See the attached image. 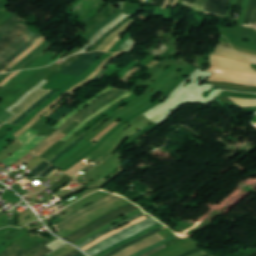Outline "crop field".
<instances>
[{"mask_svg":"<svg viewBox=\"0 0 256 256\" xmlns=\"http://www.w3.org/2000/svg\"><path fill=\"white\" fill-rule=\"evenodd\" d=\"M201 250V249H200ZM198 248H196V249H194V250H192V251H190V252H188V253H186V254H183V255H181V256H190V255H192V254H195V253H197V252H201Z\"/></svg>","mask_w":256,"mask_h":256,"instance_id":"47","label":"crop field"},{"mask_svg":"<svg viewBox=\"0 0 256 256\" xmlns=\"http://www.w3.org/2000/svg\"><path fill=\"white\" fill-rule=\"evenodd\" d=\"M12 73V72H11ZM11 73H7L5 75H3L1 78H0V83L5 79L7 78Z\"/></svg>","mask_w":256,"mask_h":256,"instance_id":"51","label":"crop field"},{"mask_svg":"<svg viewBox=\"0 0 256 256\" xmlns=\"http://www.w3.org/2000/svg\"><path fill=\"white\" fill-rule=\"evenodd\" d=\"M157 222H159V221L150 217V218H148V219H146L128 229H125L121 232H118V233L104 239L103 241L99 242L98 244H96L95 246H93L92 248L88 249L85 252H87L88 254L93 256V255L107 249L111 245H113L121 240H124V239L148 228L149 226H151Z\"/></svg>","mask_w":256,"mask_h":256,"instance_id":"2","label":"crop field"},{"mask_svg":"<svg viewBox=\"0 0 256 256\" xmlns=\"http://www.w3.org/2000/svg\"><path fill=\"white\" fill-rule=\"evenodd\" d=\"M173 0H171L170 4H172Z\"/></svg>","mask_w":256,"mask_h":256,"instance_id":"58","label":"crop field"},{"mask_svg":"<svg viewBox=\"0 0 256 256\" xmlns=\"http://www.w3.org/2000/svg\"><path fill=\"white\" fill-rule=\"evenodd\" d=\"M51 251H53V250L44 246V247L40 248L39 250L35 251L34 253H32L30 256H44Z\"/></svg>","mask_w":256,"mask_h":256,"instance_id":"36","label":"crop field"},{"mask_svg":"<svg viewBox=\"0 0 256 256\" xmlns=\"http://www.w3.org/2000/svg\"><path fill=\"white\" fill-rule=\"evenodd\" d=\"M18 17V16H17ZM15 15L12 16L10 20H8L6 23H4L0 27V39L9 32L13 27H15L21 20L17 18Z\"/></svg>","mask_w":256,"mask_h":256,"instance_id":"21","label":"crop field"},{"mask_svg":"<svg viewBox=\"0 0 256 256\" xmlns=\"http://www.w3.org/2000/svg\"><path fill=\"white\" fill-rule=\"evenodd\" d=\"M22 71H18V72H14L13 74H11L7 79H5L0 85L4 86L6 85L8 82H10L18 73H20Z\"/></svg>","mask_w":256,"mask_h":256,"instance_id":"41","label":"crop field"},{"mask_svg":"<svg viewBox=\"0 0 256 256\" xmlns=\"http://www.w3.org/2000/svg\"><path fill=\"white\" fill-rule=\"evenodd\" d=\"M13 114L5 111L0 115V121H6L8 118H10Z\"/></svg>","mask_w":256,"mask_h":256,"instance_id":"43","label":"crop field"},{"mask_svg":"<svg viewBox=\"0 0 256 256\" xmlns=\"http://www.w3.org/2000/svg\"><path fill=\"white\" fill-rule=\"evenodd\" d=\"M42 36L36 35L32 40H30L23 48H21L19 51H17L14 55H12L10 58H8L4 63L0 65V70L5 67L7 64H9L11 61H13L15 58H17L19 55H21L25 50H27L32 44H34L37 40H39Z\"/></svg>","mask_w":256,"mask_h":256,"instance_id":"20","label":"crop field"},{"mask_svg":"<svg viewBox=\"0 0 256 256\" xmlns=\"http://www.w3.org/2000/svg\"><path fill=\"white\" fill-rule=\"evenodd\" d=\"M178 0H174L172 7L176 6Z\"/></svg>","mask_w":256,"mask_h":256,"instance_id":"54","label":"crop field"},{"mask_svg":"<svg viewBox=\"0 0 256 256\" xmlns=\"http://www.w3.org/2000/svg\"><path fill=\"white\" fill-rule=\"evenodd\" d=\"M121 14V12H117L114 15H112L109 19H107L104 23H102L99 27H97L91 34H89L87 36V38H91L92 36H94L99 30H101L104 26L108 25L109 23H111L115 18H117L119 15Z\"/></svg>","mask_w":256,"mask_h":256,"instance_id":"31","label":"crop field"},{"mask_svg":"<svg viewBox=\"0 0 256 256\" xmlns=\"http://www.w3.org/2000/svg\"><path fill=\"white\" fill-rule=\"evenodd\" d=\"M165 247V245H163V246H161V247H159V248H157V249H154V250H152V251H150V252H148V253H146V254H144V255H142V256H149V255H151L152 253H154V252H156V251H158V250H160V249H162V248H164Z\"/></svg>","mask_w":256,"mask_h":256,"instance_id":"49","label":"crop field"},{"mask_svg":"<svg viewBox=\"0 0 256 256\" xmlns=\"http://www.w3.org/2000/svg\"><path fill=\"white\" fill-rule=\"evenodd\" d=\"M175 238H177L176 234L173 235L172 237L166 239V240H163V241H161V242H159V243H157V244H155V245H153V246H150V247H148V248H146V249H144V250H142V251L136 253V254L133 255V256H139V255H141V254H143V253H145V252H148V251H150V250H152V249H154V248H156V247H158V246H160V245H162V244H164V243H167V242H169V241H171V240H173V239H175Z\"/></svg>","mask_w":256,"mask_h":256,"instance_id":"32","label":"crop field"},{"mask_svg":"<svg viewBox=\"0 0 256 256\" xmlns=\"http://www.w3.org/2000/svg\"><path fill=\"white\" fill-rule=\"evenodd\" d=\"M117 9L114 7L108 5L105 7L96 17H94L91 21H89L86 24V33L83 35V38H85L94 28H96L98 25H100L105 19H107L109 16L114 14Z\"/></svg>","mask_w":256,"mask_h":256,"instance_id":"11","label":"crop field"},{"mask_svg":"<svg viewBox=\"0 0 256 256\" xmlns=\"http://www.w3.org/2000/svg\"><path fill=\"white\" fill-rule=\"evenodd\" d=\"M53 44H48L46 47H44L40 52H38L33 58H31L27 63H25L23 66H21L19 69H26L29 67L33 62H35L42 54H44ZM18 69V70H19Z\"/></svg>","mask_w":256,"mask_h":256,"instance_id":"28","label":"crop field"},{"mask_svg":"<svg viewBox=\"0 0 256 256\" xmlns=\"http://www.w3.org/2000/svg\"><path fill=\"white\" fill-rule=\"evenodd\" d=\"M125 92H126L125 90L113 89L110 93H108L105 96L99 98L98 100L93 102L91 105H89L88 107L84 108L79 113H77L75 116H73L71 119H69L61 128H59L55 133H53L52 136H50L47 139H45L42 143H40L31 152L35 154L43 146H45L48 142H50L53 138H55L58 134L63 132L75 120L77 122L81 123L84 119H86L88 116H90L96 110H98L101 107L105 106L106 104L111 102L113 99H115L116 97L120 96L121 94H123Z\"/></svg>","mask_w":256,"mask_h":256,"instance_id":"1","label":"crop field"},{"mask_svg":"<svg viewBox=\"0 0 256 256\" xmlns=\"http://www.w3.org/2000/svg\"><path fill=\"white\" fill-rule=\"evenodd\" d=\"M160 231H162V230H161L160 228H158V229H156V230H154V231H152V232H150V233H148V234H146V235H144V236H142V237H140V238H138V239H136V240H134V241H132V242H130V243H127V244H125V245L120 246L118 249H116V250H114V251H112V252H110V253H108V254H106V255H104V256H112L113 254H115V253L121 251L122 249H124V248H126V247H128V246H130V245H132V244H134V243H136V242H138V241H140V240H142V239L148 237V236H151V235H153V234H156V233H158V232H160Z\"/></svg>","mask_w":256,"mask_h":256,"instance_id":"24","label":"crop field"},{"mask_svg":"<svg viewBox=\"0 0 256 256\" xmlns=\"http://www.w3.org/2000/svg\"><path fill=\"white\" fill-rule=\"evenodd\" d=\"M164 0H153L152 4L158 5L161 8L163 7Z\"/></svg>","mask_w":256,"mask_h":256,"instance_id":"48","label":"crop field"},{"mask_svg":"<svg viewBox=\"0 0 256 256\" xmlns=\"http://www.w3.org/2000/svg\"><path fill=\"white\" fill-rule=\"evenodd\" d=\"M84 139L83 135L73 143V145L69 146L67 149H65L62 153H60L57 157H55L50 163L56 162L59 158H61L63 155H65L67 152H69L71 149H73L78 143H80Z\"/></svg>","mask_w":256,"mask_h":256,"instance_id":"33","label":"crop field"},{"mask_svg":"<svg viewBox=\"0 0 256 256\" xmlns=\"http://www.w3.org/2000/svg\"><path fill=\"white\" fill-rule=\"evenodd\" d=\"M51 90H38L34 92L21 106H19L17 109H15L12 113L16 114L11 119H9L5 123L12 124L17 118H19L31 105H33L36 101H38L40 98H42L44 95H46ZM58 90H53L50 93H48L46 96H44L42 99H40L38 102H36L33 106H31L19 119H17L13 124H17L21 122L34 108L39 106L41 103H43L47 98L52 96L54 93H56Z\"/></svg>","mask_w":256,"mask_h":256,"instance_id":"5","label":"crop field"},{"mask_svg":"<svg viewBox=\"0 0 256 256\" xmlns=\"http://www.w3.org/2000/svg\"><path fill=\"white\" fill-rule=\"evenodd\" d=\"M210 84H216V85H222V86H228V87H235V88H243V89H249L250 88V87H245L244 85L226 83V82H210Z\"/></svg>","mask_w":256,"mask_h":256,"instance_id":"35","label":"crop field"},{"mask_svg":"<svg viewBox=\"0 0 256 256\" xmlns=\"http://www.w3.org/2000/svg\"><path fill=\"white\" fill-rule=\"evenodd\" d=\"M215 88H220V89H227V90H235V91H244V92H255L256 91H251V90H243V89H234V88H227V87H221V86H215L213 85Z\"/></svg>","mask_w":256,"mask_h":256,"instance_id":"45","label":"crop field"},{"mask_svg":"<svg viewBox=\"0 0 256 256\" xmlns=\"http://www.w3.org/2000/svg\"><path fill=\"white\" fill-rule=\"evenodd\" d=\"M206 3H207V0H196V3L193 8L203 12Z\"/></svg>","mask_w":256,"mask_h":256,"instance_id":"37","label":"crop field"},{"mask_svg":"<svg viewBox=\"0 0 256 256\" xmlns=\"http://www.w3.org/2000/svg\"><path fill=\"white\" fill-rule=\"evenodd\" d=\"M3 74H0V76H2Z\"/></svg>","mask_w":256,"mask_h":256,"instance_id":"59","label":"crop field"},{"mask_svg":"<svg viewBox=\"0 0 256 256\" xmlns=\"http://www.w3.org/2000/svg\"><path fill=\"white\" fill-rule=\"evenodd\" d=\"M238 53L241 54V55L249 57L250 61H251V64H255L256 65V56L250 55V54H246V53H242V52H238Z\"/></svg>","mask_w":256,"mask_h":256,"instance_id":"44","label":"crop field"},{"mask_svg":"<svg viewBox=\"0 0 256 256\" xmlns=\"http://www.w3.org/2000/svg\"><path fill=\"white\" fill-rule=\"evenodd\" d=\"M215 54L224 56V57H228V58H232V59H236V60H239L244 63H249L248 58H244V57L240 56L238 53H236L234 50L227 48V47L220 46V45H218V47L215 51Z\"/></svg>","mask_w":256,"mask_h":256,"instance_id":"17","label":"crop field"},{"mask_svg":"<svg viewBox=\"0 0 256 256\" xmlns=\"http://www.w3.org/2000/svg\"><path fill=\"white\" fill-rule=\"evenodd\" d=\"M243 24L256 25V0H250Z\"/></svg>","mask_w":256,"mask_h":256,"instance_id":"19","label":"crop field"},{"mask_svg":"<svg viewBox=\"0 0 256 256\" xmlns=\"http://www.w3.org/2000/svg\"><path fill=\"white\" fill-rule=\"evenodd\" d=\"M161 225H163V224H162L161 222H159V223H157V224L151 226L150 228L144 230L143 232H141V233H139V234H137V235H135V236H132V237H130V238L124 240V241H121V242H119V243L113 245L112 247L108 248L107 250H105V251H103V252H101V253H99V254H97V255H95V256H102V255H104V254H106V253H108V252H110V251H112V250L118 248L120 245H122V244H124V243H126V242H129V241H131V240H133V239H136V238H138V237H140V236H142V235L148 233L149 231H151V230H153V229H155V228H157V227H159V226H161Z\"/></svg>","mask_w":256,"mask_h":256,"instance_id":"18","label":"crop field"},{"mask_svg":"<svg viewBox=\"0 0 256 256\" xmlns=\"http://www.w3.org/2000/svg\"><path fill=\"white\" fill-rule=\"evenodd\" d=\"M103 54L105 53L94 52V53L84 54L59 74H72V75L79 76L85 70H87L99 56Z\"/></svg>","mask_w":256,"mask_h":256,"instance_id":"7","label":"crop field"},{"mask_svg":"<svg viewBox=\"0 0 256 256\" xmlns=\"http://www.w3.org/2000/svg\"><path fill=\"white\" fill-rule=\"evenodd\" d=\"M139 209V207L131 204L126 207L120 208L114 212H111L102 218L98 219L97 221L93 222L92 224L88 225L87 227L81 229L80 231L66 237L65 239L71 241V242H76L80 240L81 238L85 237L86 235L94 232L95 230L101 228L102 226L108 224L109 222L121 217L124 214L130 213L132 211H135Z\"/></svg>","mask_w":256,"mask_h":256,"instance_id":"3","label":"crop field"},{"mask_svg":"<svg viewBox=\"0 0 256 256\" xmlns=\"http://www.w3.org/2000/svg\"><path fill=\"white\" fill-rule=\"evenodd\" d=\"M228 3L229 0H209L204 13L225 17Z\"/></svg>","mask_w":256,"mask_h":256,"instance_id":"12","label":"crop field"},{"mask_svg":"<svg viewBox=\"0 0 256 256\" xmlns=\"http://www.w3.org/2000/svg\"><path fill=\"white\" fill-rule=\"evenodd\" d=\"M238 106L241 108L244 107H251V106H256V100H250V99H232Z\"/></svg>","mask_w":256,"mask_h":256,"instance_id":"29","label":"crop field"},{"mask_svg":"<svg viewBox=\"0 0 256 256\" xmlns=\"http://www.w3.org/2000/svg\"><path fill=\"white\" fill-rule=\"evenodd\" d=\"M132 23L133 21L131 20L118 31H116L114 34H112L110 37H108L95 51L100 50L108 52L113 47V45L120 40L117 36L126 28H128Z\"/></svg>","mask_w":256,"mask_h":256,"instance_id":"15","label":"crop field"},{"mask_svg":"<svg viewBox=\"0 0 256 256\" xmlns=\"http://www.w3.org/2000/svg\"><path fill=\"white\" fill-rule=\"evenodd\" d=\"M48 42H43L40 46H38L33 52H31L28 56H26L22 61H20L17 65H15L11 70L14 71L17 68H19L21 65H23L25 62H27L32 56H34L38 51H40L44 46H46ZM18 70V69H17ZM8 71V72H9Z\"/></svg>","mask_w":256,"mask_h":256,"instance_id":"26","label":"crop field"},{"mask_svg":"<svg viewBox=\"0 0 256 256\" xmlns=\"http://www.w3.org/2000/svg\"><path fill=\"white\" fill-rule=\"evenodd\" d=\"M70 247H71V246L67 244V245H65V246H63L62 248H60V249H58V250L52 252L51 254H49V255H47V256H55V255L59 254L60 252L66 250V249H68V248H70Z\"/></svg>","mask_w":256,"mask_h":256,"instance_id":"42","label":"crop field"},{"mask_svg":"<svg viewBox=\"0 0 256 256\" xmlns=\"http://www.w3.org/2000/svg\"><path fill=\"white\" fill-rule=\"evenodd\" d=\"M163 240L158 234L151 236L141 242L136 243L135 245L128 247L124 250H122L121 252L117 253L114 256H130L138 251H140L141 249L150 246L156 242H159Z\"/></svg>","mask_w":256,"mask_h":256,"instance_id":"10","label":"crop field"},{"mask_svg":"<svg viewBox=\"0 0 256 256\" xmlns=\"http://www.w3.org/2000/svg\"><path fill=\"white\" fill-rule=\"evenodd\" d=\"M48 243H49V240L47 239V240L41 242L40 244L30 248L27 251L21 249L20 247H18L16 244L13 243L10 247H8L6 250H4L0 256H29L33 251L37 250L38 248H40Z\"/></svg>","mask_w":256,"mask_h":256,"instance_id":"13","label":"crop field"},{"mask_svg":"<svg viewBox=\"0 0 256 256\" xmlns=\"http://www.w3.org/2000/svg\"><path fill=\"white\" fill-rule=\"evenodd\" d=\"M133 41L132 36L126 41L124 42L121 47L116 51V52H121L123 49H125L129 44H131Z\"/></svg>","mask_w":256,"mask_h":256,"instance_id":"40","label":"crop field"},{"mask_svg":"<svg viewBox=\"0 0 256 256\" xmlns=\"http://www.w3.org/2000/svg\"><path fill=\"white\" fill-rule=\"evenodd\" d=\"M76 138H72L70 139L66 144H64L62 147H60L58 150H56L52 155H50L46 160H50L54 155H56L57 153H59L60 151H62L63 149H65L67 146H69L73 141H75Z\"/></svg>","mask_w":256,"mask_h":256,"instance_id":"38","label":"crop field"},{"mask_svg":"<svg viewBox=\"0 0 256 256\" xmlns=\"http://www.w3.org/2000/svg\"><path fill=\"white\" fill-rule=\"evenodd\" d=\"M169 0H165V4L163 8H168Z\"/></svg>","mask_w":256,"mask_h":256,"instance_id":"52","label":"crop field"},{"mask_svg":"<svg viewBox=\"0 0 256 256\" xmlns=\"http://www.w3.org/2000/svg\"><path fill=\"white\" fill-rule=\"evenodd\" d=\"M241 2H242V0H238V2H237V5H236V6H240V5H241Z\"/></svg>","mask_w":256,"mask_h":256,"instance_id":"55","label":"crop field"},{"mask_svg":"<svg viewBox=\"0 0 256 256\" xmlns=\"http://www.w3.org/2000/svg\"><path fill=\"white\" fill-rule=\"evenodd\" d=\"M210 65L244 71V72L256 73L250 68V66L248 64L236 62V61L229 60V59L222 58V57L215 56V55L213 56V59H212Z\"/></svg>","mask_w":256,"mask_h":256,"instance_id":"9","label":"crop field"},{"mask_svg":"<svg viewBox=\"0 0 256 256\" xmlns=\"http://www.w3.org/2000/svg\"><path fill=\"white\" fill-rule=\"evenodd\" d=\"M50 164H48L47 162H43L41 163L37 168H35L31 173H29V175H31L32 177L38 175L39 173H41L42 171H44Z\"/></svg>","mask_w":256,"mask_h":256,"instance_id":"34","label":"crop field"},{"mask_svg":"<svg viewBox=\"0 0 256 256\" xmlns=\"http://www.w3.org/2000/svg\"><path fill=\"white\" fill-rule=\"evenodd\" d=\"M143 215H146V213L143 212V213L137 214V215H135V216H133V217H131V218L125 220V221L119 222V223H117V224L111 226L110 228H108V229H106V230H104V231H102V232H100V233H98V234H96V235L90 237L89 239L85 240L84 242H82L81 244H79V245H77V246H79V247L81 248V247H83L84 245H86V244H88L89 242H91L92 240H94V239H96V238H98V237H100V236H102V235H104V234H106V233H108V232H110V231H112V230H114V229L120 227V226H123V225H125V224H127V223H129V222H131V221H133V220H135V219H137L138 217L143 216Z\"/></svg>","mask_w":256,"mask_h":256,"instance_id":"16","label":"crop field"},{"mask_svg":"<svg viewBox=\"0 0 256 256\" xmlns=\"http://www.w3.org/2000/svg\"><path fill=\"white\" fill-rule=\"evenodd\" d=\"M57 167L55 166H50L48 169H46L43 173H41L39 176L40 177H46L47 175H49L53 170H55ZM58 169V168H57Z\"/></svg>","mask_w":256,"mask_h":256,"instance_id":"39","label":"crop field"},{"mask_svg":"<svg viewBox=\"0 0 256 256\" xmlns=\"http://www.w3.org/2000/svg\"><path fill=\"white\" fill-rule=\"evenodd\" d=\"M195 0H184L183 4L192 8Z\"/></svg>","mask_w":256,"mask_h":256,"instance_id":"46","label":"crop field"},{"mask_svg":"<svg viewBox=\"0 0 256 256\" xmlns=\"http://www.w3.org/2000/svg\"><path fill=\"white\" fill-rule=\"evenodd\" d=\"M174 63V61L170 60L168 63H166L163 67L158 69L150 78L149 81L144 82L140 87L149 86L153 83V81L169 66H171Z\"/></svg>","mask_w":256,"mask_h":256,"instance_id":"25","label":"crop field"},{"mask_svg":"<svg viewBox=\"0 0 256 256\" xmlns=\"http://www.w3.org/2000/svg\"><path fill=\"white\" fill-rule=\"evenodd\" d=\"M204 254H207V253L201 252V253L195 254V255H193V256H200V255H204Z\"/></svg>","mask_w":256,"mask_h":256,"instance_id":"53","label":"crop field"},{"mask_svg":"<svg viewBox=\"0 0 256 256\" xmlns=\"http://www.w3.org/2000/svg\"><path fill=\"white\" fill-rule=\"evenodd\" d=\"M208 71L215 73L207 79L208 81H226L256 86V74L215 68L212 66Z\"/></svg>","mask_w":256,"mask_h":256,"instance_id":"4","label":"crop field"},{"mask_svg":"<svg viewBox=\"0 0 256 256\" xmlns=\"http://www.w3.org/2000/svg\"><path fill=\"white\" fill-rule=\"evenodd\" d=\"M83 161H85V162H87L88 164L87 165H85V166H83L82 168H80V169H82L83 171H88V170H90L91 168H93L94 166H96V165H98L99 163H101V162H99L97 159H95L93 156H88L86 159H84Z\"/></svg>","mask_w":256,"mask_h":256,"instance_id":"30","label":"crop field"},{"mask_svg":"<svg viewBox=\"0 0 256 256\" xmlns=\"http://www.w3.org/2000/svg\"><path fill=\"white\" fill-rule=\"evenodd\" d=\"M120 198H122V197L110 194L107 197H105V198H103V199H101V200H99V201H97V202H95L93 204H90V205H88V206L78 210L77 212L73 213L68 218H66L63 221H61L60 223L54 225V228L59 226V225H61V224H63V223H65V222H67V221H69L71 218H73L77 214L81 213L80 215L74 217L71 221H69L66 224L60 226L59 228H56V231H58V230H60V229H62L64 227H66L67 225H69V224L79 220L80 218H82V217H84V216H86V215H88V214H90V213H92V212H94V211H96V210H98V209L108 205V204H111V203L117 201Z\"/></svg>","mask_w":256,"mask_h":256,"instance_id":"6","label":"crop field"},{"mask_svg":"<svg viewBox=\"0 0 256 256\" xmlns=\"http://www.w3.org/2000/svg\"><path fill=\"white\" fill-rule=\"evenodd\" d=\"M78 253H80L78 250H76V251H74V252H71V253H69V254H67V255H65V256H74V255H76V254H78Z\"/></svg>","mask_w":256,"mask_h":256,"instance_id":"50","label":"crop field"},{"mask_svg":"<svg viewBox=\"0 0 256 256\" xmlns=\"http://www.w3.org/2000/svg\"><path fill=\"white\" fill-rule=\"evenodd\" d=\"M34 35V33L25 31L15 42L0 53V64L28 42Z\"/></svg>","mask_w":256,"mask_h":256,"instance_id":"8","label":"crop field"},{"mask_svg":"<svg viewBox=\"0 0 256 256\" xmlns=\"http://www.w3.org/2000/svg\"><path fill=\"white\" fill-rule=\"evenodd\" d=\"M28 27L19 23L12 31L6 34L0 41V52L16 40Z\"/></svg>","mask_w":256,"mask_h":256,"instance_id":"14","label":"crop field"},{"mask_svg":"<svg viewBox=\"0 0 256 256\" xmlns=\"http://www.w3.org/2000/svg\"><path fill=\"white\" fill-rule=\"evenodd\" d=\"M83 103V102H81ZM80 103V104H81ZM79 104V105H80ZM78 105V106H79ZM77 107V106H76ZM75 107V108H76ZM74 109V108H73ZM73 109H68L65 105L59 110L57 111L52 117H50L49 119L58 122L59 120H61L67 113H69L70 111H72ZM75 110V109H74Z\"/></svg>","mask_w":256,"mask_h":256,"instance_id":"27","label":"crop field"},{"mask_svg":"<svg viewBox=\"0 0 256 256\" xmlns=\"http://www.w3.org/2000/svg\"><path fill=\"white\" fill-rule=\"evenodd\" d=\"M131 17H127L113 29L109 30L105 35H103L87 52L94 51L108 36H110L113 32H115L118 28H120L123 24L129 21Z\"/></svg>","mask_w":256,"mask_h":256,"instance_id":"22","label":"crop field"},{"mask_svg":"<svg viewBox=\"0 0 256 256\" xmlns=\"http://www.w3.org/2000/svg\"><path fill=\"white\" fill-rule=\"evenodd\" d=\"M44 40H46V38H44V37L41 38L33 46H31L27 51H25L21 56H19L17 59H15L9 65H7L0 73H5L7 70H9L15 64H17L21 59H23L27 54H29L33 49H35L39 44H41Z\"/></svg>","mask_w":256,"mask_h":256,"instance_id":"23","label":"crop field"},{"mask_svg":"<svg viewBox=\"0 0 256 256\" xmlns=\"http://www.w3.org/2000/svg\"><path fill=\"white\" fill-rule=\"evenodd\" d=\"M77 256H84V255L81 253V254H79V255H77Z\"/></svg>","mask_w":256,"mask_h":256,"instance_id":"56","label":"crop field"},{"mask_svg":"<svg viewBox=\"0 0 256 256\" xmlns=\"http://www.w3.org/2000/svg\"><path fill=\"white\" fill-rule=\"evenodd\" d=\"M204 256H211L210 254H208V255H204Z\"/></svg>","mask_w":256,"mask_h":256,"instance_id":"57","label":"crop field"}]
</instances>
